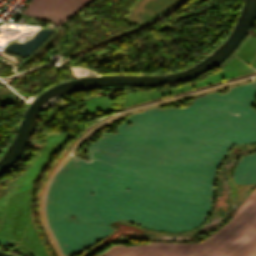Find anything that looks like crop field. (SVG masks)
Returning a JSON list of instances; mask_svg holds the SVG:
<instances>
[{
    "instance_id": "1",
    "label": "crop field",
    "mask_w": 256,
    "mask_h": 256,
    "mask_svg": "<svg viewBox=\"0 0 256 256\" xmlns=\"http://www.w3.org/2000/svg\"><path fill=\"white\" fill-rule=\"evenodd\" d=\"M91 1L92 0H31L23 14L60 24L67 17Z\"/></svg>"
},
{
    "instance_id": "2",
    "label": "crop field",
    "mask_w": 256,
    "mask_h": 256,
    "mask_svg": "<svg viewBox=\"0 0 256 256\" xmlns=\"http://www.w3.org/2000/svg\"><path fill=\"white\" fill-rule=\"evenodd\" d=\"M181 0H139L125 20L141 25L165 12Z\"/></svg>"
}]
</instances>
